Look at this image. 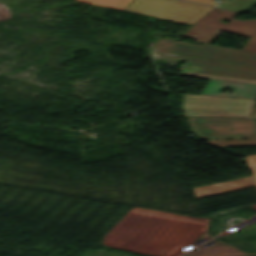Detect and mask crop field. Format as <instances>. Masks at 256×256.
<instances>
[{"mask_svg": "<svg viewBox=\"0 0 256 256\" xmlns=\"http://www.w3.org/2000/svg\"><path fill=\"white\" fill-rule=\"evenodd\" d=\"M191 131L202 140L256 138V120L187 117Z\"/></svg>", "mask_w": 256, "mask_h": 256, "instance_id": "crop-field-3", "label": "crop field"}, {"mask_svg": "<svg viewBox=\"0 0 256 256\" xmlns=\"http://www.w3.org/2000/svg\"><path fill=\"white\" fill-rule=\"evenodd\" d=\"M253 118H256V109H255V113H254V117Z\"/></svg>", "mask_w": 256, "mask_h": 256, "instance_id": "crop-field-13", "label": "crop field"}, {"mask_svg": "<svg viewBox=\"0 0 256 256\" xmlns=\"http://www.w3.org/2000/svg\"><path fill=\"white\" fill-rule=\"evenodd\" d=\"M218 31L193 26L183 37H190L196 41L211 43Z\"/></svg>", "mask_w": 256, "mask_h": 256, "instance_id": "crop-field-8", "label": "crop field"}, {"mask_svg": "<svg viewBox=\"0 0 256 256\" xmlns=\"http://www.w3.org/2000/svg\"><path fill=\"white\" fill-rule=\"evenodd\" d=\"M242 49L256 52V39L249 38Z\"/></svg>", "mask_w": 256, "mask_h": 256, "instance_id": "crop-field-11", "label": "crop field"}, {"mask_svg": "<svg viewBox=\"0 0 256 256\" xmlns=\"http://www.w3.org/2000/svg\"><path fill=\"white\" fill-rule=\"evenodd\" d=\"M210 9V7L174 0H134L124 10L190 24Z\"/></svg>", "mask_w": 256, "mask_h": 256, "instance_id": "crop-field-4", "label": "crop field"}, {"mask_svg": "<svg viewBox=\"0 0 256 256\" xmlns=\"http://www.w3.org/2000/svg\"><path fill=\"white\" fill-rule=\"evenodd\" d=\"M231 88L232 94L221 93L222 90ZM201 94L223 97H236V98H248L255 99L256 97V85L239 84L231 82H222L209 80Z\"/></svg>", "mask_w": 256, "mask_h": 256, "instance_id": "crop-field-7", "label": "crop field"}, {"mask_svg": "<svg viewBox=\"0 0 256 256\" xmlns=\"http://www.w3.org/2000/svg\"><path fill=\"white\" fill-rule=\"evenodd\" d=\"M209 145L218 147H234V146H256V139L250 140H221V141H205ZM248 165L253 169L254 176L240 178L228 182H219L206 186L194 188L197 198L212 194L222 193L235 189L245 188L256 185V155L246 156Z\"/></svg>", "mask_w": 256, "mask_h": 256, "instance_id": "crop-field-5", "label": "crop field"}, {"mask_svg": "<svg viewBox=\"0 0 256 256\" xmlns=\"http://www.w3.org/2000/svg\"><path fill=\"white\" fill-rule=\"evenodd\" d=\"M186 1H192V2H198V3H204V4H210V5H214L216 3H213L212 0H186ZM223 1V0H220Z\"/></svg>", "mask_w": 256, "mask_h": 256, "instance_id": "crop-field-12", "label": "crop field"}, {"mask_svg": "<svg viewBox=\"0 0 256 256\" xmlns=\"http://www.w3.org/2000/svg\"><path fill=\"white\" fill-rule=\"evenodd\" d=\"M254 1H256V0H254Z\"/></svg>", "mask_w": 256, "mask_h": 256, "instance_id": "crop-field-14", "label": "crop field"}, {"mask_svg": "<svg viewBox=\"0 0 256 256\" xmlns=\"http://www.w3.org/2000/svg\"><path fill=\"white\" fill-rule=\"evenodd\" d=\"M153 52L157 60H167L168 63L176 64L180 60H190V65L198 67H184L183 75L214 78L222 80L256 83V53L236 50L213 44H187L167 40L159 41ZM156 50H160L159 52ZM177 54L181 56L168 55ZM166 54L168 56H162ZM208 60H215L214 62ZM251 66H239L227 63ZM208 67V69L203 68ZM186 69H192V73Z\"/></svg>", "mask_w": 256, "mask_h": 256, "instance_id": "crop-field-1", "label": "crop field"}, {"mask_svg": "<svg viewBox=\"0 0 256 256\" xmlns=\"http://www.w3.org/2000/svg\"><path fill=\"white\" fill-rule=\"evenodd\" d=\"M218 10L219 8H214L193 25L218 31H228L239 35L256 38V19L237 20L232 18L237 14V12L220 9L222 11L218 13ZM223 17L229 18L231 21L227 24H223L220 22Z\"/></svg>", "mask_w": 256, "mask_h": 256, "instance_id": "crop-field-6", "label": "crop field"}, {"mask_svg": "<svg viewBox=\"0 0 256 256\" xmlns=\"http://www.w3.org/2000/svg\"><path fill=\"white\" fill-rule=\"evenodd\" d=\"M254 100L184 94L186 116L250 118Z\"/></svg>", "mask_w": 256, "mask_h": 256, "instance_id": "crop-field-2", "label": "crop field"}, {"mask_svg": "<svg viewBox=\"0 0 256 256\" xmlns=\"http://www.w3.org/2000/svg\"><path fill=\"white\" fill-rule=\"evenodd\" d=\"M256 3L249 2V1H242V0H228L224 3L216 6L219 8H226L234 11H241L244 12L250 7L254 6Z\"/></svg>", "mask_w": 256, "mask_h": 256, "instance_id": "crop-field-9", "label": "crop field"}, {"mask_svg": "<svg viewBox=\"0 0 256 256\" xmlns=\"http://www.w3.org/2000/svg\"><path fill=\"white\" fill-rule=\"evenodd\" d=\"M83 3L103 5L115 9L122 10L132 0H76Z\"/></svg>", "mask_w": 256, "mask_h": 256, "instance_id": "crop-field-10", "label": "crop field"}]
</instances>
